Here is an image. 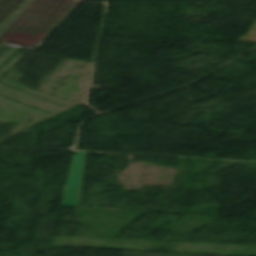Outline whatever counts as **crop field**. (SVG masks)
<instances>
[{"mask_svg": "<svg viewBox=\"0 0 256 256\" xmlns=\"http://www.w3.org/2000/svg\"><path fill=\"white\" fill-rule=\"evenodd\" d=\"M82 0H34L0 36L5 41L34 46L46 38Z\"/></svg>", "mask_w": 256, "mask_h": 256, "instance_id": "8a807250", "label": "crop field"}]
</instances>
